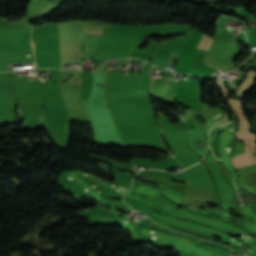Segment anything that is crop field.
Returning a JSON list of instances; mask_svg holds the SVG:
<instances>
[{"label": "crop field", "instance_id": "412701ff", "mask_svg": "<svg viewBox=\"0 0 256 256\" xmlns=\"http://www.w3.org/2000/svg\"><path fill=\"white\" fill-rule=\"evenodd\" d=\"M33 44V43H32ZM33 48H34V45H33Z\"/></svg>", "mask_w": 256, "mask_h": 256}, {"label": "crop field", "instance_id": "f4fd0767", "mask_svg": "<svg viewBox=\"0 0 256 256\" xmlns=\"http://www.w3.org/2000/svg\"><path fill=\"white\" fill-rule=\"evenodd\" d=\"M20 111H21V109H20ZM21 113H22V111H21Z\"/></svg>", "mask_w": 256, "mask_h": 256}, {"label": "crop field", "instance_id": "ac0d7876", "mask_svg": "<svg viewBox=\"0 0 256 256\" xmlns=\"http://www.w3.org/2000/svg\"><path fill=\"white\" fill-rule=\"evenodd\" d=\"M204 36H205V35H204V34H202V36H201V40H200V42H199V44H198V46H197V49L199 48V46H200V44H201V42H202V40H203ZM206 39H207V36H205V38H204V40H203V43H202V45H201L200 49H202V48H203V46H204V44H205ZM211 42H212V39H211V38H208V40H207V42H206V44H205V46H204V48H203V49L208 50V49H209V46H210V44H211Z\"/></svg>", "mask_w": 256, "mask_h": 256}, {"label": "crop field", "instance_id": "8a807250", "mask_svg": "<svg viewBox=\"0 0 256 256\" xmlns=\"http://www.w3.org/2000/svg\"><path fill=\"white\" fill-rule=\"evenodd\" d=\"M103 27L86 24L85 32L101 34ZM100 36L84 34V53H96Z\"/></svg>", "mask_w": 256, "mask_h": 256}, {"label": "crop field", "instance_id": "34b2d1b8", "mask_svg": "<svg viewBox=\"0 0 256 256\" xmlns=\"http://www.w3.org/2000/svg\"><path fill=\"white\" fill-rule=\"evenodd\" d=\"M164 80H173V79H164Z\"/></svg>", "mask_w": 256, "mask_h": 256}]
</instances>
